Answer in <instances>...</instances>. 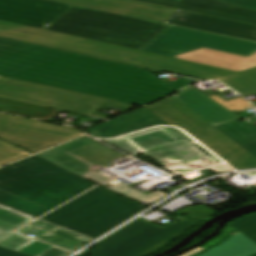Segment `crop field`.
Masks as SVG:
<instances>
[{
    "instance_id": "bc2a9ffb",
    "label": "crop field",
    "mask_w": 256,
    "mask_h": 256,
    "mask_svg": "<svg viewBox=\"0 0 256 256\" xmlns=\"http://www.w3.org/2000/svg\"><path fill=\"white\" fill-rule=\"evenodd\" d=\"M166 125L146 109L142 108L115 120L87 130L89 134L99 138H113L143 128Z\"/></svg>"
},
{
    "instance_id": "d1516ede",
    "label": "crop field",
    "mask_w": 256,
    "mask_h": 256,
    "mask_svg": "<svg viewBox=\"0 0 256 256\" xmlns=\"http://www.w3.org/2000/svg\"><path fill=\"white\" fill-rule=\"evenodd\" d=\"M81 135L78 130L0 113V138L33 153Z\"/></svg>"
},
{
    "instance_id": "34b2d1b8",
    "label": "crop field",
    "mask_w": 256,
    "mask_h": 256,
    "mask_svg": "<svg viewBox=\"0 0 256 256\" xmlns=\"http://www.w3.org/2000/svg\"><path fill=\"white\" fill-rule=\"evenodd\" d=\"M93 186L36 156L0 168V204L36 218Z\"/></svg>"
},
{
    "instance_id": "d32e631a",
    "label": "crop field",
    "mask_w": 256,
    "mask_h": 256,
    "mask_svg": "<svg viewBox=\"0 0 256 256\" xmlns=\"http://www.w3.org/2000/svg\"><path fill=\"white\" fill-rule=\"evenodd\" d=\"M198 168H166L165 170L173 173V174H180V173H186L189 171L196 170Z\"/></svg>"
},
{
    "instance_id": "eef30255",
    "label": "crop field",
    "mask_w": 256,
    "mask_h": 256,
    "mask_svg": "<svg viewBox=\"0 0 256 256\" xmlns=\"http://www.w3.org/2000/svg\"><path fill=\"white\" fill-rule=\"evenodd\" d=\"M127 187H128L127 185H125L124 183H121V184H119V185H117V186H115V187H113L109 190L120 193V194H122L124 196H127L129 198H132V199H134V200H136L140 203H142V202L152 203V202H154V201H156V200H158L161 197L166 195V194L161 193L159 191L153 192L149 195H146V194H144L142 192H139V191H137L133 188L129 189Z\"/></svg>"
},
{
    "instance_id": "733c2abd",
    "label": "crop field",
    "mask_w": 256,
    "mask_h": 256,
    "mask_svg": "<svg viewBox=\"0 0 256 256\" xmlns=\"http://www.w3.org/2000/svg\"><path fill=\"white\" fill-rule=\"evenodd\" d=\"M165 23L256 41V26L177 10Z\"/></svg>"
},
{
    "instance_id": "0bd39190",
    "label": "crop field",
    "mask_w": 256,
    "mask_h": 256,
    "mask_svg": "<svg viewBox=\"0 0 256 256\" xmlns=\"http://www.w3.org/2000/svg\"><path fill=\"white\" fill-rule=\"evenodd\" d=\"M204 248H206V247H199V248L193 250L192 252H190V253H188V254H185V255H183V256H192V254H194V253H196V252H198V251H200V250H202V249H204Z\"/></svg>"
},
{
    "instance_id": "028f5c9d",
    "label": "crop field",
    "mask_w": 256,
    "mask_h": 256,
    "mask_svg": "<svg viewBox=\"0 0 256 256\" xmlns=\"http://www.w3.org/2000/svg\"><path fill=\"white\" fill-rule=\"evenodd\" d=\"M212 171L216 173H221V172H226V171H231L230 168H228L226 165H221L217 167L210 168Z\"/></svg>"
},
{
    "instance_id": "4177f3b9",
    "label": "crop field",
    "mask_w": 256,
    "mask_h": 256,
    "mask_svg": "<svg viewBox=\"0 0 256 256\" xmlns=\"http://www.w3.org/2000/svg\"><path fill=\"white\" fill-rule=\"evenodd\" d=\"M70 53L71 52L55 50L53 52L47 53L45 55L39 56V57L34 58L32 60L26 61L24 63L18 64L16 66L11 67V68L0 71V74L13 76L15 74L21 73L23 71H26L28 69L39 66L41 64L52 61L54 59H57L59 57H62L64 55H67V54H70Z\"/></svg>"
},
{
    "instance_id": "412701ff",
    "label": "crop field",
    "mask_w": 256,
    "mask_h": 256,
    "mask_svg": "<svg viewBox=\"0 0 256 256\" xmlns=\"http://www.w3.org/2000/svg\"><path fill=\"white\" fill-rule=\"evenodd\" d=\"M168 26L70 6L46 30L140 50Z\"/></svg>"
},
{
    "instance_id": "03da06ac",
    "label": "crop field",
    "mask_w": 256,
    "mask_h": 256,
    "mask_svg": "<svg viewBox=\"0 0 256 256\" xmlns=\"http://www.w3.org/2000/svg\"><path fill=\"white\" fill-rule=\"evenodd\" d=\"M1 78V77H0Z\"/></svg>"
},
{
    "instance_id": "4a817a6b",
    "label": "crop field",
    "mask_w": 256,
    "mask_h": 256,
    "mask_svg": "<svg viewBox=\"0 0 256 256\" xmlns=\"http://www.w3.org/2000/svg\"><path fill=\"white\" fill-rule=\"evenodd\" d=\"M173 96L214 126L241 119L192 86Z\"/></svg>"
},
{
    "instance_id": "dafd665d",
    "label": "crop field",
    "mask_w": 256,
    "mask_h": 256,
    "mask_svg": "<svg viewBox=\"0 0 256 256\" xmlns=\"http://www.w3.org/2000/svg\"><path fill=\"white\" fill-rule=\"evenodd\" d=\"M53 50L54 49L0 37V70Z\"/></svg>"
},
{
    "instance_id": "b80d0937",
    "label": "crop field",
    "mask_w": 256,
    "mask_h": 256,
    "mask_svg": "<svg viewBox=\"0 0 256 256\" xmlns=\"http://www.w3.org/2000/svg\"><path fill=\"white\" fill-rule=\"evenodd\" d=\"M251 107H252V106L249 105V106H247V107L241 108V109L236 110V111L240 112V111H243V110H246V109H250Z\"/></svg>"
},
{
    "instance_id": "214f88e0",
    "label": "crop field",
    "mask_w": 256,
    "mask_h": 256,
    "mask_svg": "<svg viewBox=\"0 0 256 256\" xmlns=\"http://www.w3.org/2000/svg\"><path fill=\"white\" fill-rule=\"evenodd\" d=\"M174 58L184 59L236 72L256 67V53L247 58L230 53L202 49L182 54Z\"/></svg>"
},
{
    "instance_id": "ac0d7876",
    "label": "crop field",
    "mask_w": 256,
    "mask_h": 256,
    "mask_svg": "<svg viewBox=\"0 0 256 256\" xmlns=\"http://www.w3.org/2000/svg\"><path fill=\"white\" fill-rule=\"evenodd\" d=\"M0 35L182 76L219 79L244 97L256 95V68L236 73L3 21H0Z\"/></svg>"
},
{
    "instance_id": "730fd06b",
    "label": "crop field",
    "mask_w": 256,
    "mask_h": 256,
    "mask_svg": "<svg viewBox=\"0 0 256 256\" xmlns=\"http://www.w3.org/2000/svg\"><path fill=\"white\" fill-rule=\"evenodd\" d=\"M216 127L235 142L256 137V127L250 124L244 125L239 121Z\"/></svg>"
},
{
    "instance_id": "c21b1889",
    "label": "crop field",
    "mask_w": 256,
    "mask_h": 256,
    "mask_svg": "<svg viewBox=\"0 0 256 256\" xmlns=\"http://www.w3.org/2000/svg\"><path fill=\"white\" fill-rule=\"evenodd\" d=\"M219 99H221L222 101H224L225 102V100H223L221 97H219L218 95H216Z\"/></svg>"
},
{
    "instance_id": "8a807250",
    "label": "crop field",
    "mask_w": 256,
    "mask_h": 256,
    "mask_svg": "<svg viewBox=\"0 0 256 256\" xmlns=\"http://www.w3.org/2000/svg\"><path fill=\"white\" fill-rule=\"evenodd\" d=\"M120 64L72 53L13 78L138 105L195 81L183 78L169 85L144 69Z\"/></svg>"
},
{
    "instance_id": "750c4746",
    "label": "crop field",
    "mask_w": 256,
    "mask_h": 256,
    "mask_svg": "<svg viewBox=\"0 0 256 256\" xmlns=\"http://www.w3.org/2000/svg\"><path fill=\"white\" fill-rule=\"evenodd\" d=\"M178 213L185 214L192 218L205 219L217 212H215L207 207L200 206V207H192V208H189L186 210H182Z\"/></svg>"
},
{
    "instance_id": "e52e79f7",
    "label": "crop field",
    "mask_w": 256,
    "mask_h": 256,
    "mask_svg": "<svg viewBox=\"0 0 256 256\" xmlns=\"http://www.w3.org/2000/svg\"><path fill=\"white\" fill-rule=\"evenodd\" d=\"M198 222L179 216L166 226H157L140 217L98 243L90 256H150Z\"/></svg>"
},
{
    "instance_id": "120bbe31",
    "label": "crop field",
    "mask_w": 256,
    "mask_h": 256,
    "mask_svg": "<svg viewBox=\"0 0 256 256\" xmlns=\"http://www.w3.org/2000/svg\"><path fill=\"white\" fill-rule=\"evenodd\" d=\"M237 143L240 146H242L243 148H245L247 151L252 153L254 156H256V142L249 139V140H245V141H241V142H237Z\"/></svg>"
},
{
    "instance_id": "f4fd0767",
    "label": "crop field",
    "mask_w": 256,
    "mask_h": 256,
    "mask_svg": "<svg viewBox=\"0 0 256 256\" xmlns=\"http://www.w3.org/2000/svg\"><path fill=\"white\" fill-rule=\"evenodd\" d=\"M145 209L97 187L40 220L95 239Z\"/></svg>"
},
{
    "instance_id": "00972430",
    "label": "crop field",
    "mask_w": 256,
    "mask_h": 256,
    "mask_svg": "<svg viewBox=\"0 0 256 256\" xmlns=\"http://www.w3.org/2000/svg\"><path fill=\"white\" fill-rule=\"evenodd\" d=\"M256 254V244L239 231L223 244L201 256H252Z\"/></svg>"
},
{
    "instance_id": "5a996713",
    "label": "crop field",
    "mask_w": 256,
    "mask_h": 256,
    "mask_svg": "<svg viewBox=\"0 0 256 256\" xmlns=\"http://www.w3.org/2000/svg\"><path fill=\"white\" fill-rule=\"evenodd\" d=\"M201 48L249 57L256 52V42L169 26L141 50L173 57Z\"/></svg>"
},
{
    "instance_id": "d3111659",
    "label": "crop field",
    "mask_w": 256,
    "mask_h": 256,
    "mask_svg": "<svg viewBox=\"0 0 256 256\" xmlns=\"http://www.w3.org/2000/svg\"><path fill=\"white\" fill-rule=\"evenodd\" d=\"M31 155L30 153L0 140V165Z\"/></svg>"
},
{
    "instance_id": "c035e120",
    "label": "crop field",
    "mask_w": 256,
    "mask_h": 256,
    "mask_svg": "<svg viewBox=\"0 0 256 256\" xmlns=\"http://www.w3.org/2000/svg\"><path fill=\"white\" fill-rule=\"evenodd\" d=\"M89 252V249H87L83 254H81L80 256H87Z\"/></svg>"
},
{
    "instance_id": "5866460e",
    "label": "crop field",
    "mask_w": 256,
    "mask_h": 256,
    "mask_svg": "<svg viewBox=\"0 0 256 256\" xmlns=\"http://www.w3.org/2000/svg\"><path fill=\"white\" fill-rule=\"evenodd\" d=\"M0 256H27L4 248H0Z\"/></svg>"
},
{
    "instance_id": "d8731c3e",
    "label": "crop field",
    "mask_w": 256,
    "mask_h": 256,
    "mask_svg": "<svg viewBox=\"0 0 256 256\" xmlns=\"http://www.w3.org/2000/svg\"><path fill=\"white\" fill-rule=\"evenodd\" d=\"M0 97L64 110L88 117H91L103 103L127 109L134 107L130 104L118 103L100 97L84 95L77 92L42 86L6 77L0 79Z\"/></svg>"
},
{
    "instance_id": "22f410ed",
    "label": "crop field",
    "mask_w": 256,
    "mask_h": 256,
    "mask_svg": "<svg viewBox=\"0 0 256 256\" xmlns=\"http://www.w3.org/2000/svg\"><path fill=\"white\" fill-rule=\"evenodd\" d=\"M35 218L0 206V246L30 256H67L71 252L14 233Z\"/></svg>"
},
{
    "instance_id": "a9b5d70f",
    "label": "crop field",
    "mask_w": 256,
    "mask_h": 256,
    "mask_svg": "<svg viewBox=\"0 0 256 256\" xmlns=\"http://www.w3.org/2000/svg\"><path fill=\"white\" fill-rule=\"evenodd\" d=\"M0 112L49 120L60 111L0 98Z\"/></svg>"
},
{
    "instance_id": "1d83c4d3",
    "label": "crop field",
    "mask_w": 256,
    "mask_h": 256,
    "mask_svg": "<svg viewBox=\"0 0 256 256\" xmlns=\"http://www.w3.org/2000/svg\"><path fill=\"white\" fill-rule=\"evenodd\" d=\"M216 1H221L225 3H230L234 5L256 9V0H216Z\"/></svg>"
},
{
    "instance_id": "bd1437ed",
    "label": "crop field",
    "mask_w": 256,
    "mask_h": 256,
    "mask_svg": "<svg viewBox=\"0 0 256 256\" xmlns=\"http://www.w3.org/2000/svg\"><path fill=\"white\" fill-rule=\"evenodd\" d=\"M159 163L163 166H192L174 156H170L159 160Z\"/></svg>"
},
{
    "instance_id": "cbeb9de0",
    "label": "crop field",
    "mask_w": 256,
    "mask_h": 256,
    "mask_svg": "<svg viewBox=\"0 0 256 256\" xmlns=\"http://www.w3.org/2000/svg\"><path fill=\"white\" fill-rule=\"evenodd\" d=\"M68 7L44 0H0V20L45 29Z\"/></svg>"
},
{
    "instance_id": "28ad6ade",
    "label": "crop field",
    "mask_w": 256,
    "mask_h": 256,
    "mask_svg": "<svg viewBox=\"0 0 256 256\" xmlns=\"http://www.w3.org/2000/svg\"><path fill=\"white\" fill-rule=\"evenodd\" d=\"M38 155L97 184L111 179L94 171L95 169L125 157L86 137L78 138Z\"/></svg>"
},
{
    "instance_id": "92a150f3",
    "label": "crop field",
    "mask_w": 256,
    "mask_h": 256,
    "mask_svg": "<svg viewBox=\"0 0 256 256\" xmlns=\"http://www.w3.org/2000/svg\"><path fill=\"white\" fill-rule=\"evenodd\" d=\"M18 232L25 235H37L35 238L72 251L83 246L85 242L90 240L39 220L25 226L24 228L18 230Z\"/></svg>"
},
{
    "instance_id": "5142ce71",
    "label": "crop field",
    "mask_w": 256,
    "mask_h": 256,
    "mask_svg": "<svg viewBox=\"0 0 256 256\" xmlns=\"http://www.w3.org/2000/svg\"><path fill=\"white\" fill-rule=\"evenodd\" d=\"M164 23L176 10L130 0H49Z\"/></svg>"
},
{
    "instance_id": "3316defc",
    "label": "crop field",
    "mask_w": 256,
    "mask_h": 256,
    "mask_svg": "<svg viewBox=\"0 0 256 256\" xmlns=\"http://www.w3.org/2000/svg\"><path fill=\"white\" fill-rule=\"evenodd\" d=\"M105 142L132 155L143 153L154 160L174 155L194 166L210 157L194 145L185 146L189 141L169 127L149 129Z\"/></svg>"
},
{
    "instance_id": "ae1a2a85",
    "label": "crop field",
    "mask_w": 256,
    "mask_h": 256,
    "mask_svg": "<svg viewBox=\"0 0 256 256\" xmlns=\"http://www.w3.org/2000/svg\"><path fill=\"white\" fill-rule=\"evenodd\" d=\"M229 225L256 243V214L242 217Z\"/></svg>"
},
{
    "instance_id": "d9b57169",
    "label": "crop field",
    "mask_w": 256,
    "mask_h": 256,
    "mask_svg": "<svg viewBox=\"0 0 256 256\" xmlns=\"http://www.w3.org/2000/svg\"><path fill=\"white\" fill-rule=\"evenodd\" d=\"M256 25V10L211 0H135Z\"/></svg>"
},
{
    "instance_id": "e1f06a70",
    "label": "crop field",
    "mask_w": 256,
    "mask_h": 256,
    "mask_svg": "<svg viewBox=\"0 0 256 256\" xmlns=\"http://www.w3.org/2000/svg\"><path fill=\"white\" fill-rule=\"evenodd\" d=\"M218 163H219V161L212 158V159L206 160L203 164H204V166L208 167V166L215 165Z\"/></svg>"
},
{
    "instance_id": "dd49c442",
    "label": "crop field",
    "mask_w": 256,
    "mask_h": 256,
    "mask_svg": "<svg viewBox=\"0 0 256 256\" xmlns=\"http://www.w3.org/2000/svg\"><path fill=\"white\" fill-rule=\"evenodd\" d=\"M146 107L170 125L181 127L201 143L210 146L212 151L235 169L256 168V157L174 97Z\"/></svg>"
}]
</instances>
